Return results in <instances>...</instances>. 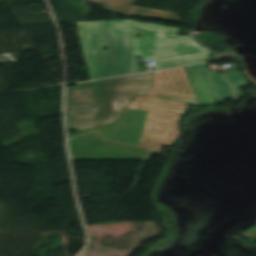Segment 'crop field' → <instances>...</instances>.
<instances>
[{
  "mask_svg": "<svg viewBox=\"0 0 256 256\" xmlns=\"http://www.w3.org/2000/svg\"><path fill=\"white\" fill-rule=\"evenodd\" d=\"M77 25L92 80L138 72V56L155 60L156 70L203 62L209 56L193 37L176 36L178 28L132 20ZM135 31L142 32L140 39Z\"/></svg>",
  "mask_w": 256,
  "mask_h": 256,
  "instance_id": "crop-field-1",
  "label": "crop field"
},
{
  "mask_svg": "<svg viewBox=\"0 0 256 256\" xmlns=\"http://www.w3.org/2000/svg\"><path fill=\"white\" fill-rule=\"evenodd\" d=\"M153 73H145L103 81L76 84L66 89V122L68 129L81 131L116 121L137 95H145L152 85Z\"/></svg>",
  "mask_w": 256,
  "mask_h": 256,
  "instance_id": "crop-field-2",
  "label": "crop field"
},
{
  "mask_svg": "<svg viewBox=\"0 0 256 256\" xmlns=\"http://www.w3.org/2000/svg\"><path fill=\"white\" fill-rule=\"evenodd\" d=\"M180 106L179 103L136 96L129 107L151 111L142 140L148 112L131 108H126L116 122L74 132L68 135V139L97 131L104 139L135 146L152 148L155 142L172 145L179 136L178 120L182 114L175 112Z\"/></svg>",
  "mask_w": 256,
  "mask_h": 256,
  "instance_id": "crop-field-3",
  "label": "crop field"
},
{
  "mask_svg": "<svg viewBox=\"0 0 256 256\" xmlns=\"http://www.w3.org/2000/svg\"><path fill=\"white\" fill-rule=\"evenodd\" d=\"M180 95L196 98L183 67L154 72V84L146 96L199 106L196 103L174 99L177 97L196 101L195 99L179 97Z\"/></svg>",
  "mask_w": 256,
  "mask_h": 256,
  "instance_id": "crop-field-4",
  "label": "crop field"
},
{
  "mask_svg": "<svg viewBox=\"0 0 256 256\" xmlns=\"http://www.w3.org/2000/svg\"><path fill=\"white\" fill-rule=\"evenodd\" d=\"M185 68L190 76L196 95L201 104H205L202 96H204L208 105L216 104L212 95L213 91L217 99L233 97L234 100H237L224 76L217 73H211L207 64L188 66ZM211 90L213 91L211 92Z\"/></svg>",
  "mask_w": 256,
  "mask_h": 256,
  "instance_id": "crop-field-5",
  "label": "crop field"
},
{
  "mask_svg": "<svg viewBox=\"0 0 256 256\" xmlns=\"http://www.w3.org/2000/svg\"><path fill=\"white\" fill-rule=\"evenodd\" d=\"M103 7L104 10L125 16H138L157 20L180 23V15L138 8L134 5L138 0H87Z\"/></svg>",
  "mask_w": 256,
  "mask_h": 256,
  "instance_id": "crop-field-6",
  "label": "crop field"
},
{
  "mask_svg": "<svg viewBox=\"0 0 256 256\" xmlns=\"http://www.w3.org/2000/svg\"><path fill=\"white\" fill-rule=\"evenodd\" d=\"M147 153L104 145L72 155V159H144Z\"/></svg>",
  "mask_w": 256,
  "mask_h": 256,
  "instance_id": "crop-field-7",
  "label": "crop field"
},
{
  "mask_svg": "<svg viewBox=\"0 0 256 256\" xmlns=\"http://www.w3.org/2000/svg\"><path fill=\"white\" fill-rule=\"evenodd\" d=\"M103 144V141L96 133L87 134L69 141L71 155Z\"/></svg>",
  "mask_w": 256,
  "mask_h": 256,
  "instance_id": "crop-field-8",
  "label": "crop field"
},
{
  "mask_svg": "<svg viewBox=\"0 0 256 256\" xmlns=\"http://www.w3.org/2000/svg\"><path fill=\"white\" fill-rule=\"evenodd\" d=\"M226 76L238 95L243 94L240 88L248 86L243 74L241 72H234L228 73Z\"/></svg>",
  "mask_w": 256,
  "mask_h": 256,
  "instance_id": "crop-field-9",
  "label": "crop field"
},
{
  "mask_svg": "<svg viewBox=\"0 0 256 256\" xmlns=\"http://www.w3.org/2000/svg\"><path fill=\"white\" fill-rule=\"evenodd\" d=\"M104 143H108V144H112V145H116V146H121V147H126V148H131V149H136V150L145 151V152L148 151V150H145V149H140V148H136V147H132V146H128V145H123V144H118V143H112V142H109V141H104Z\"/></svg>",
  "mask_w": 256,
  "mask_h": 256,
  "instance_id": "crop-field-10",
  "label": "crop field"
}]
</instances>
